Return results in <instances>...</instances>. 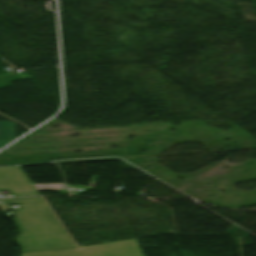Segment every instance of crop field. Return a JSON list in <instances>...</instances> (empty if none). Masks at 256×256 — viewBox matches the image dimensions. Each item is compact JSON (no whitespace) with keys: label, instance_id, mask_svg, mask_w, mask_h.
<instances>
[{"label":"crop field","instance_id":"3","mask_svg":"<svg viewBox=\"0 0 256 256\" xmlns=\"http://www.w3.org/2000/svg\"><path fill=\"white\" fill-rule=\"evenodd\" d=\"M0 190L16 196L39 195L20 167L0 168Z\"/></svg>","mask_w":256,"mask_h":256},{"label":"crop field","instance_id":"5","mask_svg":"<svg viewBox=\"0 0 256 256\" xmlns=\"http://www.w3.org/2000/svg\"><path fill=\"white\" fill-rule=\"evenodd\" d=\"M7 143H8V141H0V147L4 146Z\"/></svg>","mask_w":256,"mask_h":256},{"label":"crop field","instance_id":"4","mask_svg":"<svg viewBox=\"0 0 256 256\" xmlns=\"http://www.w3.org/2000/svg\"><path fill=\"white\" fill-rule=\"evenodd\" d=\"M15 123L0 121V140H11L14 138Z\"/></svg>","mask_w":256,"mask_h":256},{"label":"crop field","instance_id":"2","mask_svg":"<svg viewBox=\"0 0 256 256\" xmlns=\"http://www.w3.org/2000/svg\"><path fill=\"white\" fill-rule=\"evenodd\" d=\"M21 256H143L136 239L80 248L27 252Z\"/></svg>","mask_w":256,"mask_h":256},{"label":"crop field","instance_id":"1","mask_svg":"<svg viewBox=\"0 0 256 256\" xmlns=\"http://www.w3.org/2000/svg\"><path fill=\"white\" fill-rule=\"evenodd\" d=\"M7 205L20 204L12 212L20 233L16 238L22 252L75 247L42 197L4 199Z\"/></svg>","mask_w":256,"mask_h":256}]
</instances>
